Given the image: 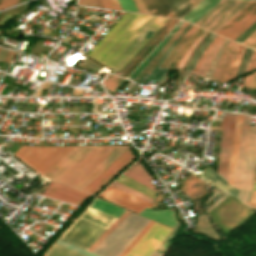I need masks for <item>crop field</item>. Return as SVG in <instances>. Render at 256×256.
<instances>
[{
	"label": "crop field",
	"mask_w": 256,
	"mask_h": 256,
	"mask_svg": "<svg viewBox=\"0 0 256 256\" xmlns=\"http://www.w3.org/2000/svg\"><path fill=\"white\" fill-rule=\"evenodd\" d=\"M166 20L126 13L87 55L113 68L112 73L120 71ZM148 30L153 33L145 38Z\"/></svg>",
	"instance_id": "crop-field-1"
},
{
	"label": "crop field",
	"mask_w": 256,
	"mask_h": 256,
	"mask_svg": "<svg viewBox=\"0 0 256 256\" xmlns=\"http://www.w3.org/2000/svg\"><path fill=\"white\" fill-rule=\"evenodd\" d=\"M251 117L245 116L233 186L240 190L239 200L248 202L256 163V124L249 126Z\"/></svg>",
	"instance_id": "crop-field-2"
},
{
	"label": "crop field",
	"mask_w": 256,
	"mask_h": 256,
	"mask_svg": "<svg viewBox=\"0 0 256 256\" xmlns=\"http://www.w3.org/2000/svg\"><path fill=\"white\" fill-rule=\"evenodd\" d=\"M150 220L129 214L93 251L100 256H119Z\"/></svg>",
	"instance_id": "crop-field-3"
},
{
	"label": "crop field",
	"mask_w": 256,
	"mask_h": 256,
	"mask_svg": "<svg viewBox=\"0 0 256 256\" xmlns=\"http://www.w3.org/2000/svg\"><path fill=\"white\" fill-rule=\"evenodd\" d=\"M74 147L75 146H22L13 155L43 176Z\"/></svg>",
	"instance_id": "crop-field-4"
},
{
	"label": "crop field",
	"mask_w": 256,
	"mask_h": 256,
	"mask_svg": "<svg viewBox=\"0 0 256 256\" xmlns=\"http://www.w3.org/2000/svg\"><path fill=\"white\" fill-rule=\"evenodd\" d=\"M250 3L248 1L222 0L195 25L216 33Z\"/></svg>",
	"instance_id": "crop-field-5"
},
{
	"label": "crop field",
	"mask_w": 256,
	"mask_h": 256,
	"mask_svg": "<svg viewBox=\"0 0 256 256\" xmlns=\"http://www.w3.org/2000/svg\"><path fill=\"white\" fill-rule=\"evenodd\" d=\"M105 230L106 227L79 216L66 230L62 238L88 249Z\"/></svg>",
	"instance_id": "crop-field-6"
},
{
	"label": "crop field",
	"mask_w": 256,
	"mask_h": 256,
	"mask_svg": "<svg viewBox=\"0 0 256 256\" xmlns=\"http://www.w3.org/2000/svg\"><path fill=\"white\" fill-rule=\"evenodd\" d=\"M118 146H96L76 164L59 182L74 187Z\"/></svg>",
	"instance_id": "crop-field-7"
},
{
	"label": "crop field",
	"mask_w": 256,
	"mask_h": 256,
	"mask_svg": "<svg viewBox=\"0 0 256 256\" xmlns=\"http://www.w3.org/2000/svg\"><path fill=\"white\" fill-rule=\"evenodd\" d=\"M134 158L129 148L122 153L112 164H110L100 175H98L83 191L95 195L105 186L118 172H120Z\"/></svg>",
	"instance_id": "crop-field-8"
},
{
	"label": "crop field",
	"mask_w": 256,
	"mask_h": 256,
	"mask_svg": "<svg viewBox=\"0 0 256 256\" xmlns=\"http://www.w3.org/2000/svg\"><path fill=\"white\" fill-rule=\"evenodd\" d=\"M236 114L224 112L220 130H224L218 173L226 181Z\"/></svg>",
	"instance_id": "crop-field-9"
},
{
	"label": "crop field",
	"mask_w": 256,
	"mask_h": 256,
	"mask_svg": "<svg viewBox=\"0 0 256 256\" xmlns=\"http://www.w3.org/2000/svg\"><path fill=\"white\" fill-rule=\"evenodd\" d=\"M170 230L171 228L155 222L128 256H149Z\"/></svg>",
	"instance_id": "crop-field-10"
},
{
	"label": "crop field",
	"mask_w": 256,
	"mask_h": 256,
	"mask_svg": "<svg viewBox=\"0 0 256 256\" xmlns=\"http://www.w3.org/2000/svg\"><path fill=\"white\" fill-rule=\"evenodd\" d=\"M255 20L256 2H252L228 24H226L220 31H218L217 34L233 40Z\"/></svg>",
	"instance_id": "crop-field-11"
},
{
	"label": "crop field",
	"mask_w": 256,
	"mask_h": 256,
	"mask_svg": "<svg viewBox=\"0 0 256 256\" xmlns=\"http://www.w3.org/2000/svg\"><path fill=\"white\" fill-rule=\"evenodd\" d=\"M95 146H76L59 163H57L44 177L58 181L65 175L76 163H78Z\"/></svg>",
	"instance_id": "crop-field-12"
},
{
	"label": "crop field",
	"mask_w": 256,
	"mask_h": 256,
	"mask_svg": "<svg viewBox=\"0 0 256 256\" xmlns=\"http://www.w3.org/2000/svg\"><path fill=\"white\" fill-rule=\"evenodd\" d=\"M99 197L106 199L112 203L122 206L128 210L135 213L141 212L149 203L138 199L128 193L120 191L116 188L109 186L105 191H103Z\"/></svg>",
	"instance_id": "crop-field-13"
},
{
	"label": "crop field",
	"mask_w": 256,
	"mask_h": 256,
	"mask_svg": "<svg viewBox=\"0 0 256 256\" xmlns=\"http://www.w3.org/2000/svg\"><path fill=\"white\" fill-rule=\"evenodd\" d=\"M42 196L50 197L53 199L61 200L71 204L81 206L89 195L71 189L54 181L43 192Z\"/></svg>",
	"instance_id": "crop-field-14"
},
{
	"label": "crop field",
	"mask_w": 256,
	"mask_h": 256,
	"mask_svg": "<svg viewBox=\"0 0 256 256\" xmlns=\"http://www.w3.org/2000/svg\"><path fill=\"white\" fill-rule=\"evenodd\" d=\"M129 146H119L113 151L103 162H101L92 172H90L75 188L82 190L88 185L98 174H100L110 163H112L122 152Z\"/></svg>",
	"instance_id": "crop-field-15"
},
{
	"label": "crop field",
	"mask_w": 256,
	"mask_h": 256,
	"mask_svg": "<svg viewBox=\"0 0 256 256\" xmlns=\"http://www.w3.org/2000/svg\"><path fill=\"white\" fill-rule=\"evenodd\" d=\"M242 121H243V116L237 115L232 152H231V159H230V165H229V171H228V179H227V183L231 185L233 183V177H234V171H235V165H236V159H237V153H238V147H239V141H240V135H241Z\"/></svg>",
	"instance_id": "crop-field-16"
},
{
	"label": "crop field",
	"mask_w": 256,
	"mask_h": 256,
	"mask_svg": "<svg viewBox=\"0 0 256 256\" xmlns=\"http://www.w3.org/2000/svg\"><path fill=\"white\" fill-rule=\"evenodd\" d=\"M123 174L155 190L154 186L150 184V181L153 179L146 170V168L144 167V165L142 164V162L140 161V159Z\"/></svg>",
	"instance_id": "crop-field-17"
},
{
	"label": "crop field",
	"mask_w": 256,
	"mask_h": 256,
	"mask_svg": "<svg viewBox=\"0 0 256 256\" xmlns=\"http://www.w3.org/2000/svg\"><path fill=\"white\" fill-rule=\"evenodd\" d=\"M140 215L172 227H174L178 223L174 217V212L169 209L152 211L146 208L140 213Z\"/></svg>",
	"instance_id": "crop-field-18"
},
{
	"label": "crop field",
	"mask_w": 256,
	"mask_h": 256,
	"mask_svg": "<svg viewBox=\"0 0 256 256\" xmlns=\"http://www.w3.org/2000/svg\"><path fill=\"white\" fill-rule=\"evenodd\" d=\"M246 47L242 45H238L227 69L226 72L221 80V83L227 82L229 80H233L236 76L237 70L239 68V65L241 63V60L244 56V53L246 51Z\"/></svg>",
	"instance_id": "crop-field-19"
},
{
	"label": "crop field",
	"mask_w": 256,
	"mask_h": 256,
	"mask_svg": "<svg viewBox=\"0 0 256 256\" xmlns=\"http://www.w3.org/2000/svg\"><path fill=\"white\" fill-rule=\"evenodd\" d=\"M221 0H203L182 19L195 23Z\"/></svg>",
	"instance_id": "crop-field-20"
},
{
	"label": "crop field",
	"mask_w": 256,
	"mask_h": 256,
	"mask_svg": "<svg viewBox=\"0 0 256 256\" xmlns=\"http://www.w3.org/2000/svg\"><path fill=\"white\" fill-rule=\"evenodd\" d=\"M150 14L175 18L166 0H143Z\"/></svg>",
	"instance_id": "crop-field-21"
},
{
	"label": "crop field",
	"mask_w": 256,
	"mask_h": 256,
	"mask_svg": "<svg viewBox=\"0 0 256 256\" xmlns=\"http://www.w3.org/2000/svg\"><path fill=\"white\" fill-rule=\"evenodd\" d=\"M237 43L231 41V43L228 45V47L226 48L213 76H212V79L216 80V81H220L236 47H237Z\"/></svg>",
	"instance_id": "crop-field-22"
},
{
	"label": "crop field",
	"mask_w": 256,
	"mask_h": 256,
	"mask_svg": "<svg viewBox=\"0 0 256 256\" xmlns=\"http://www.w3.org/2000/svg\"><path fill=\"white\" fill-rule=\"evenodd\" d=\"M188 23L184 22L182 26L176 31V33L169 39V41L163 46V48L157 53V55L150 61V63L144 68L142 72L147 74L153 69L156 63L160 60L163 54L167 51V49L172 45V43L177 39V37L181 34V32L186 28Z\"/></svg>",
	"instance_id": "crop-field-23"
},
{
	"label": "crop field",
	"mask_w": 256,
	"mask_h": 256,
	"mask_svg": "<svg viewBox=\"0 0 256 256\" xmlns=\"http://www.w3.org/2000/svg\"><path fill=\"white\" fill-rule=\"evenodd\" d=\"M196 29L197 27H194L193 25L191 26L188 32L184 35V37L180 40V42L176 45V47L172 50V52L168 55V57L161 64L160 67L168 69V67L171 65L175 57L178 55L180 50L183 48V46L186 44L189 38L193 35Z\"/></svg>",
	"instance_id": "crop-field-24"
},
{
	"label": "crop field",
	"mask_w": 256,
	"mask_h": 256,
	"mask_svg": "<svg viewBox=\"0 0 256 256\" xmlns=\"http://www.w3.org/2000/svg\"><path fill=\"white\" fill-rule=\"evenodd\" d=\"M82 214V213H81ZM85 218H88L92 221H95L99 224H102L106 227H108L109 225H111L115 220L116 218H113L111 216H108V215H105L101 212H98L96 210H93L89 207L86 208V210L83 212V214L81 215Z\"/></svg>",
	"instance_id": "crop-field-25"
},
{
	"label": "crop field",
	"mask_w": 256,
	"mask_h": 256,
	"mask_svg": "<svg viewBox=\"0 0 256 256\" xmlns=\"http://www.w3.org/2000/svg\"><path fill=\"white\" fill-rule=\"evenodd\" d=\"M217 37V35L210 34L209 37L203 42V44L198 48V50L195 52L193 57L190 59L188 65L185 68V71L192 72L196 63L199 61L201 56L204 54V52L207 50L209 45L214 41V39Z\"/></svg>",
	"instance_id": "crop-field-26"
},
{
	"label": "crop field",
	"mask_w": 256,
	"mask_h": 256,
	"mask_svg": "<svg viewBox=\"0 0 256 256\" xmlns=\"http://www.w3.org/2000/svg\"><path fill=\"white\" fill-rule=\"evenodd\" d=\"M90 207L95 208L99 211L107 213L111 216L118 218L121 214L125 212V210L118 208L110 203H107L102 200L95 199Z\"/></svg>",
	"instance_id": "crop-field-27"
},
{
	"label": "crop field",
	"mask_w": 256,
	"mask_h": 256,
	"mask_svg": "<svg viewBox=\"0 0 256 256\" xmlns=\"http://www.w3.org/2000/svg\"><path fill=\"white\" fill-rule=\"evenodd\" d=\"M183 21H179L177 25L171 30V32L165 37V39L158 45V47L149 55V57L136 69V71L127 79L133 81L136 76L143 70V68L149 63V61L156 55V53L162 48V46L168 41V39L175 33V31L181 26Z\"/></svg>",
	"instance_id": "crop-field-28"
},
{
	"label": "crop field",
	"mask_w": 256,
	"mask_h": 256,
	"mask_svg": "<svg viewBox=\"0 0 256 256\" xmlns=\"http://www.w3.org/2000/svg\"><path fill=\"white\" fill-rule=\"evenodd\" d=\"M191 24L188 25V27L183 31V33L178 37V39L173 43V45L168 49V51L165 53L161 61L157 64V66L152 70V72L149 74L147 80L154 79L157 81H162V78L166 72V69L158 68L160 64L163 62V60L167 57V55L170 53V51L174 48V46L178 43V41L183 37V35L186 33V31L190 28Z\"/></svg>",
	"instance_id": "crop-field-29"
},
{
	"label": "crop field",
	"mask_w": 256,
	"mask_h": 256,
	"mask_svg": "<svg viewBox=\"0 0 256 256\" xmlns=\"http://www.w3.org/2000/svg\"><path fill=\"white\" fill-rule=\"evenodd\" d=\"M176 18H181L192 7L188 0H167Z\"/></svg>",
	"instance_id": "crop-field-30"
},
{
	"label": "crop field",
	"mask_w": 256,
	"mask_h": 256,
	"mask_svg": "<svg viewBox=\"0 0 256 256\" xmlns=\"http://www.w3.org/2000/svg\"><path fill=\"white\" fill-rule=\"evenodd\" d=\"M197 217L198 221L196 223V228H193L192 231L205 233L206 235L213 239L218 238L213 229L211 228V226L209 225L205 214L198 215Z\"/></svg>",
	"instance_id": "crop-field-31"
},
{
	"label": "crop field",
	"mask_w": 256,
	"mask_h": 256,
	"mask_svg": "<svg viewBox=\"0 0 256 256\" xmlns=\"http://www.w3.org/2000/svg\"><path fill=\"white\" fill-rule=\"evenodd\" d=\"M225 39L224 38H220L219 41L211 48V50L208 52V54L205 56V58L203 59L197 74L199 75H205L215 53L217 52L218 48L220 47V45L223 43ZM196 73V72H195Z\"/></svg>",
	"instance_id": "crop-field-32"
},
{
	"label": "crop field",
	"mask_w": 256,
	"mask_h": 256,
	"mask_svg": "<svg viewBox=\"0 0 256 256\" xmlns=\"http://www.w3.org/2000/svg\"><path fill=\"white\" fill-rule=\"evenodd\" d=\"M173 20L168 19L163 26L151 37V39L138 51V53L126 64V66L120 71L124 73L129 66L147 49V47L165 30V28L172 22ZM132 66V65H131ZM130 66V67H131Z\"/></svg>",
	"instance_id": "crop-field-33"
},
{
	"label": "crop field",
	"mask_w": 256,
	"mask_h": 256,
	"mask_svg": "<svg viewBox=\"0 0 256 256\" xmlns=\"http://www.w3.org/2000/svg\"><path fill=\"white\" fill-rule=\"evenodd\" d=\"M48 256H82L73 251L65 249L57 244H54L46 253Z\"/></svg>",
	"instance_id": "crop-field-34"
},
{
	"label": "crop field",
	"mask_w": 256,
	"mask_h": 256,
	"mask_svg": "<svg viewBox=\"0 0 256 256\" xmlns=\"http://www.w3.org/2000/svg\"><path fill=\"white\" fill-rule=\"evenodd\" d=\"M129 214V212H125L121 215L107 230L97 239V241L88 249V251L92 252L100 242Z\"/></svg>",
	"instance_id": "crop-field-35"
},
{
	"label": "crop field",
	"mask_w": 256,
	"mask_h": 256,
	"mask_svg": "<svg viewBox=\"0 0 256 256\" xmlns=\"http://www.w3.org/2000/svg\"><path fill=\"white\" fill-rule=\"evenodd\" d=\"M208 33V31L203 30L201 32V34L196 38V40L192 43L191 47L189 48V50L187 51V53L184 55V57L182 58V60L179 62V64L177 65L176 69L181 70L182 66L184 65V63L186 62V60L188 59V57L190 56L191 52L194 50V48L197 46V44L204 38V36Z\"/></svg>",
	"instance_id": "crop-field-36"
},
{
	"label": "crop field",
	"mask_w": 256,
	"mask_h": 256,
	"mask_svg": "<svg viewBox=\"0 0 256 256\" xmlns=\"http://www.w3.org/2000/svg\"><path fill=\"white\" fill-rule=\"evenodd\" d=\"M111 186L116 187V188H118L120 190H123L125 192H128V193H130V194H132V195H134L136 197H139V198H141V199H143V200H145V201H147L149 203H151V201H152V199H150V198H148V197H146V196H144V195H142V194H140V193H138V192H136V191H134V190H132V189H130V188H128V187L118 183V182H116V181H114L111 184Z\"/></svg>",
	"instance_id": "crop-field-37"
},
{
	"label": "crop field",
	"mask_w": 256,
	"mask_h": 256,
	"mask_svg": "<svg viewBox=\"0 0 256 256\" xmlns=\"http://www.w3.org/2000/svg\"><path fill=\"white\" fill-rule=\"evenodd\" d=\"M121 81L122 78L108 75V77L105 79L103 83L106 89H109L113 93V91L116 89V87L119 85Z\"/></svg>",
	"instance_id": "crop-field-38"
},
{
	"label": "crop field",
	"mask_w": 256,
	"mask_h": 256,
	"mask_svg": "<svg viewBox=\"0 0 256 256\" xmlns=\"http://www.w3.org/2000/svg\"><path fill=\"white\" fill-rule=\"evenodd\" d=\"M154 222L151 221L147 227L138 235V237L129 245V247L120 255L127 256V254L132 250V248L137 244V242L142 238V236L147 232V230L152 226Z\"/></svg>",
	"instance_id": "crop-field-39"
},
{
	"label": "crop field",
	"mask_w": 256,
	"mask_h": 256,
	"mask_svg": "<svg viewBox=\"0 0 256 256\" xmlns=\"http://www.w3.org/2000/svg\"><path fill=\"white\" fill-rule=\"evenodd\" d=\"M252 51H253L252 49H249V48L247 49V51H246V53H245V56H244V58H243V60H242L241 66H240V68H239L238 74H237L236 77H238V76L244 74V72H245V70H246V67H247V65H248V63H249V60H250Z\"/></svg>",
	"instance_id": "crop-field-40"
},
{
	"label": "crop field",
	"mask_w": 256,
	"mask_h": 256,
	"mask_svg": "<svg viewBox=\"0 0 256 256\" xmlns=\"http://www.w3.org/2000/svg\"><path fill=\"white\" fill-rule=\"evenodd\" d=\"M100 2L104 8L121 10L117 0H100Z\"/></svg>",
	"instance_id": "crop-field-41"
},
{
	"label": "crop field",
	"mask_w": 256,
	"mask_h": 256,
	"mask_svg": "<svg viewBox=\"0 0 256 256\" xmlns=\"http://www.w3.org/2000/svg\"><path fill=\"white\" fill-rule=\"evenodd\" d=\"M118 1L121 4L123 10L137 12L132 0H118Z\"/></svg>",
	"instance_id": "crop-field-42"
},
{
	"label": "crop field",
	"mask_w": 256,
	"mask_h": 256,
	"mask_svg": "<svg viewBox=\"0 0 256 256\" xmlns=\"http://www.w3.org/2000/svg\"><path fill=\"white\" fill-rule=\"evenodd\" d=\"M256 30V23H254L250 28H248L244 33H242L238 38L235 39V41L241 43L243 40H245L251 33H253Z\"/></svg>",
	"instance_id": "crop-field-43"
},
{
	"label": "crop field",
	"mask_w": 256,
	"mask_h": 256,
	"mask_svg": "<svg viewBox=\"0 0 256 256\" xmlns=\"http://www.w3.org/2000/svg\"><path fill=\"white\" fill-rule=\"evenodd\" d=\"M243 44L248 45L250 47H253L256 49V31L248 38L246 39Z\"/></svg>",
	"instance_id": "crop-field-44"
},
{
	"label": "crop field",
	"mask_w": 256,
	"mask_h": 256,
	"mask_svg": "<svg viewBox=\"0 0 256 256\" xmlns=\"http://www.w3.org/2000/svg\"><path fill=\"white\" fill-rule=\"evenodd\" d=\"M135 4L137 5L140 13H146L149 14L147 8L145 7L144 3L142 0H134Z\"/></svg>",
	"instance_id": "crop-field-45"
},
{
	"label": "crop field",
	"mask_w": 256,
	"mask_h": 256,
	"mask_svg": "<svg viewBox=\"0 0 256 256\" xmlns=\"http://www.w3.org/2000/svg\"><path fill=\"white\" fill-rule=\"evenodd\" d=\"M255 68H256V52L254 51V52H253V55H252V57H251L250 63H249V65H248V67H247L246 72L251 71V70H253V69H255ZM246 72H245V73H246Z\"/></svg>",
	"instance_id": "crop-field-46"
},
{
	"label": "crop field",
	"mask_w": 256,
	"mask_h": 256,
	"mask_svg": "<svg viewBox=\"0 0 256 256\" xmlns=\"http://www.w3.org/2000/svg\"><path fill=\"white\" fill-rule=\"evenodd\" d=\"M17 1L18 0H2V2L0 1L1 2L0 9L12 6V5L16 4Z\"/></svg>",
	"instance_id": "crop-field-47"
},
{
	"label": "crop field",
	"mask_w": 256,
	"mask_h": 256,
	"mask_svg": "<svg viewBox=\"0 0 256 256\" xmlns=\"http://www.w3.org/2000/svg\"><path fill=\"white\" fill-rule=\"evenodd\" d=\"M254 74H255V73L244 77V82H243V85H244V86H247V87H250V88H251L252 82H253V78H254Z\"/></svg>",
	"instance_id": "crop-field-48"
},
{
	"label": "crop field",
	"mask_w": 256,
	"mask_h": 256,
	"mask_svg": "<svg viewBox=\"0 0 256 256\" xmlns=\"http://www.w3.org/2000/svg\"><path fill=\"white\" fill-rule=\"evenodd\" d=\"M246 204L256 209V191H252L250 203H246Z\"/></svg>",
	"instance_id": "crop-field-49"
},
{
	"label": "crop field",
	"mask_w": 256,
	"mask_h": 256,
	"mask_svg": "<svg viewBox=\"0 0 256 256\" xmlns=\"http://www.w3.org/2000/svg\"><path fill=\"white\" fill-rule=\"evenodd\" d=\"M16 55H17L16 52L9 51L6 58L4 59V62L11 64V62L13 61Z\"/></svg>",
	"instance_id": "crop-field-50"
},
{
	"label": "crop field",
	"mask_w": 256,
	"mask_h": 256,
	"mask_svg": "<svg viewBox=\"0 0 256 256\" xmlns=\"http://www.w3.org/2000/svg\"><path fill=\"white\" fill-rule=\"evenodd\" d=\"M78 4L96 6L97 7L94 0H78Z\"/></svg>",
	"instance_id": "crop-field-51"
},
{
	"label": "crop field",
	"mask_w": 256,
	"mask_h": 256,
	"mask_svg": "<svg viewBox=\"0 0 256 256\" xmlns=\"http://www.w3.org/2000/svg\"><path fill=\"white\" fill-rule=\"evenodd\" d=\"M220 38V36H218L217 38H216V40L211 44V46L208 48V50L205 52V54L202 56V58L200 59V61L197 63V65H196V67H195V69H194V71L193 72H196L197 71V69H198V67H199V65H200V63H201V61H202V59L204 58V56L207 54V52L210 50V48L218 41V39Z\"/></svg>",
	"instance_id": "crop-field-52"
},
{
	"label": "crop field",
	"mask_w": 256,
	"mask_h": 256,
	"mask_svg": "<svg viewBox=\"0 0 256 256\" xmlns=\"http://www.w3.org/2000/svg\"><path fill=\"white\" fill-rule=\"evenodd\" d=\"M179 225V223L171 230V232L164 238V240L157 246L155 251L160 247V245L169 237V235L176 229V227Z\"/></svg>",
	"instance_id": "crop-field-53"
},
{
	"label": "crop field",
	"mask_w": 256,
	"mask_h": 256,
	"mask_svg": "<svg viewBox=\"0 0 256 256\" xmlns=\"http://www.w3.org/2000/svg\"><path fill=\"white\" fill-rule=\"evenodd\" d=\"M189 1H190L191 5H192V7H193V6L196 5L200 0H189Z\"/></svg>",
	"instance_id": "crop-field-54"
},
{
	"label": "crop field",
	"mask_w": 256,
	"mask_h": 256,
	"mask_svg": "<svg viewBox=\"0 0 256 256\" xmlns=\"http://www.w3.org/2000/svg\"><path fill=\"white\" fill-rule=\"evenodd\" d=\"M151 256H164V255L159 254V253H157V252L154 251Z\"/></svg>",
	"instance_id": "crop-field-55"
},
{
	"label": "crop field",
	"mask_w": 256,
	"mask_h": 256,
	"mask_svg": "<svg viewBox=\"0 0 256 256\" xmlns=\"http://www.w3.org/2000/svg\"><path fill=\"white\" fill-rule=\"evenodd\" d=\"M252 88L256 89V74H255V79H254V83H253V87Z\"/></svg>",
	"instance_id": "crop-field-56"
},
{
	"label": "crop field",
	"mask_w": 256,
	"mask_h": 256,
	"mask_svg": "<svg viewBox=\"0 0 256 256\" xmlns=\"http://www.w3.org/2000/svg\"><path fill=\"white\" fill-rule=\"evenodd\" d=\"M252 190H256V180H254V185H253V189Z\"/></svg>",
	"instance_id": "crop-field-57"
},
{
	"label": "crop field",
	"mask_w": 256,
	"mask_h": 256,
	"mask_svg": "<svg viewBox=\"0 0 256 256\" xmlns=\"http://www.w3.org/2000/svg\"><path fill=\"white\" fill-rule=\"evenodd\" d=\"M95 1H96V3H97L98 7H102L101 4H100V2H99V0H95ZM103 8H104V7H103Z\"/></svg>",
	"instance_id": "crop-field-58"
},
{
	"label": "crop field",
	"mask_w": 256,
	"mask_h": 256,
	"mask_svg": "<svg viewBox=\"0 0 256 256\" xmlns=\"http://www.w3.org/2000/svg\"><path fill=\"white\" fill-rule=\"evenodd\" d=\"M5 145H6L5 143H2V145H1V146H3V147H4Z\"/></svg>",
	"instance_id": "crop-field-59"
},
{
	"label": "crop field",
	"mask_w": 256,
	"mask_h": 256,
	"mask_svg": "<svg viewBox=\"0 0 256 256\" xmlns=\"http://www.w3.org/2000/svg\"><path fill=\"white\" fill-rule=\"evenodd\" d=\"M44 256H46V255H44Z\"/></svg>",
	"instance_id": "crop-field-60"
}]
</instances>
